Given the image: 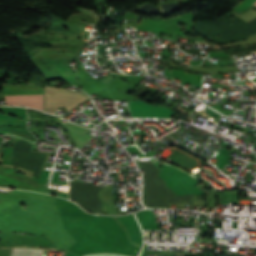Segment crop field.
I'll list each match as a JSON object with an SVG mask.
<instances>
[{
  "label": "crop field",
  "instance_id": "8a807250",
  "mask_svg": "<svg viewBox=\"0 0 256 256\" xmlns=\"http://www.w3.org/2000/svg\"><path fill=\"white\" fill-rule=\"evenodd\" d=\"M230 16H234L231 19ZM193 29L200 35L215 42L222 44L247 38L256 32V19L245 22L231 13L218 18V21L194 23ZM219 37L215 38L217 35ZM215 38V39H214Z\"/></svg>",
  "mask_w": 256,
  "mask_h": 256
},
{
  "label": "crop field",
  "instance_id": "e52e79f7",
  "mask_svg": "<svg viewBox=\"0 0 256 256\" xmlns=\"http://www.w3.org/2000/svg\"><path fill=\"white\" fill-rule=\"evenodd\" d=\"M138 162V161H137ZM138 164H139V162H138ZM140 165V164H139ZM141 167V166H140Z\"/></svg>",
  "mask_w": 256,
  "mask_h": 256
},
{
  "label": "crop field",
  "instance_id": "412701ff",
  "mask_svg": "<svg viewBox=\"0 0 256 256\" xmlns=\"http://www.w3.org/2000/svg\"><path fill=\"white\" fill-rule=\"evenodd\" d=\"M1 123L2 122H0V125H1ZM0 131H6L10 134H15V135L24 137V138H26L30 141H33V142L36 141V138L28 130H25V129L0 126Z\"/></svg>",
  "mask_w": 256,
  "mask_h": 256
},
{
  "label": "crop field",
  "instance_id": "34b2d1b8",
  "mask_svg": "<svg viewBox=\"0 0 256 256\" xmlns=\"http://www.w3.org/2000/svg\"><path fill=\"white\" fill-rule=\"evenodd\" d=\"M7 105H25L43 110V95H15L5 97Z\"/></svg>",
  "mask_w": 256,
  "mask_h": 256
},
{
  "label": "crop field",
  "instance_id": "dd49c442",
  "mask_svg": "<svg viewBox=\"0 0 256 256\" xmlns=\"http://www.w3.org/2000/svg\"><path fill=\"white\" fill-rule=\"evenodd\" d=\"M95 256H115V255H95Z\"/></svg>",
  "mask_w": 256,
  "mask_h": 256
},
{
  "label": "crop field",
  "instance_id": "d8731c3e",
  "mask_svg": "<svg viewBox=\"0 0 256 256\" xmlns=\"http://www.w3.org/2000/svg\"><path fill=\"white\" fill-rule=\"evenodd\" d=\"M254 5H256V3H254Z\"/></svg>",
  "mask_w": 256,
  "mask_h": 256
},
{
  "label": "crop field",
  "instance_id": "f4fd0767",
  "mask_svg": "<svg viewBox=\"0 0 256 256\" xmlns=\"http://www.w3.org/2000/svg\"><path fill=\"white\" fill-rule=\"evenodd\" d=\"M41 249L13 248L9 256H41Z\"/></svg>",
  "mask_w": 256,
  "mask_h": 256
},
{
  "label": "crop field",
  "instance_id": "ac0d7876",
  "mask_svg": "<svg viewBox=\"0 0 256 256\" xmlns=\"http://www.w3.org/2000/svg\"><path fill=\"white\" fill-rule=\"evenodd\" d=\"M26 176H22L15 173L12 170V167L0 166V186L1 187L13 186L18 189L34 190V191H40V192L49 193V194L54 192Z\"/></svg>",
  "mask_w": 256,
  "mask_h": 256
}]
</instances>
